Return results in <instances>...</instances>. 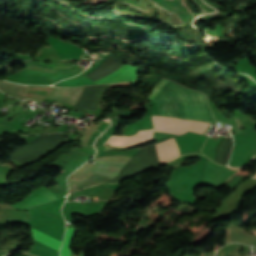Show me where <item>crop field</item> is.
Wrapping results in <instances>:
<instances>
[{"label": "crop field", "instance_id": "8a807250", "mask_svg": "<svg viewBox=\"0 0 256 256\" xmlns=\"http://www.w3.org/2000/svg\"><path fill=\"white\" fill-rule=\"evenodd\" d=\"M157 87L166 90L176 100L208 105L205 99V95L197 91L186 89L174 82L163 79L157 85ZM157 87L155 88V90L153 89L154 91L148 98L153 99L157 102L161 114L179 117V105L180 112L213 117L208 106L179 101H177V105L176 101L171 95ZM183 113H180V118L196 119L215 123L214 119L210 117Z\"/></svg>", "mask_w": 256, "mask_h": 256}, {"label": "crop field", "instance_id": "e52e79f7", "mask_svg": "<svg viewBox=\"0 0 256 256\" xmlns=\"http://www.w3.org/2000/svg\"><path fill=\"white\" fill-rule=\"evenodd\" d=\"M110 179H112V177L96 175V174H92L90 177H88L84 180H81L79 182L69 179L70 192L78 190V189L86 187V186H89V185L98 184L100 182H106Z\"/></svg>", "mask_w": 256, "mask_h": 256}, {"label": "crop field", "instance_id": "cbeb9de0", "mask_svg": "<svg viewBox=\"0 0 256 256\" xmlns=\"http://www.w3.org/2000/svg\"><path fill=\"white\" fill-rule=\"evenodd\" d=\"M253 177L256 178V175H254Z\"/></svg>", "mask_w": 256, "mask_h": 256}, {"label": "crop field", "instance_id": "3316defc", "mask_svg": "<svg viewBox=\"0 0 256 256\" xmlns=\"http://www.w3.org/2000/svg\"><path fill=\"white\" fill-rule=\"evenodd\" d=\"M156 145L162 164L174 159L168 140Z\"/></svg>", "mask_w": 256, "mask_h": 256}, {"label": "crop field", "instance_id": "f4fd0767", "mask_svg": "<svg viewBox=\"0 0 256 256\" xmlns=\"http://www.w3.org/2000/svg\"><path fill=\"white\" fill-rule=\"evenodd\" d=\"M46 43H49L54 47L61 60L80 59V55L83 53V49L52 37H50Z\"/></svg>", "mask_w": 256, "mask_h": 256}, {"label": "crop field", "instance_id": "22f410ed", "mask_svg": "<svg viewBox=\"0 0 256 256\" xmlns=\"http://www.w3.org/2000/svg\"><path fill=\"white\" fill-rule=\"evenodd\" d=\"M250 232H252V233L256 234V232H255V231H250Z\"/></svg>", "mask_w": 256, "mask_h": 256}, {"label": "crop field", "instance_id": "34b2d1b8", "mask_svg": "<svg viewBox=\"0 0 256 256\" xmlns=\"http://www.w3.org/2000/svg\"><path fill=\"white\" fill-rule=\"evenodd\" d=\"M142 71V69L133 67L131 65H124L120 69L116 70L115 72L106 75L94 82L97 84H104V83H117L123 81H133L135 80L137 75Z\"/></svg>", "mask_w": 256, "mask_h": 256}, {"label": "crop field", "instance_id": "5a996713", "mask_svg": "<svg viewBox=\"0 0 256 256\" xmlns=\"http://www.w3.org/2000/svg\"><path fill=\"white\" fill-rule=\"evenodd\" d=\"M32 228V227H31ZM32 237L59 250V247H60V241L32 228Z\"/></svg>", "mask_w": 256, "mask_h": 256}, {"label": "crop field", "instance_id": "412701ff", "mask_svg": "<svg viewBox=\"0 0 256 256\" xmlns=\"http://www.w3.org/2000/svg\"><path fill=\"white\" fill-rule=\"evenodd\" d=\"M56 198L57 197L50 190H48L46 187H43L33 191L25 199L16 204H12V206L18 209H27L31 206L53 201Z\"/></svg>", "mask_w": 256, "mask_h": 256}, {"label": "crop field", "instance_id": "ac0d7876", "mask_svg": "<svg viewBox=\"0 0 256 256\" xmlns=\"http://www.w3.org/2000/svg\"><path fill=\"white\" fill-rule=\"evenodd\" d=\"M152 118L199 124V125H207V126L212 125L211 123L197 122V121H191V120H181V119L168 118V117L157 116V115H152ZM155 119H152L154 124V131H164V132H170L176 135H181L189 130L206 134V131L209 129V127L207 126H199V125L177 123V122L155 120Z\"/></svg>", "mask_w": 256, "mask_h": 256}, {"label": "crop field", "instance_id": "28ad6ade", "mask_svg": "<svg viewBox=\"0 0 256 256\" xmlns=\"http://www.w3.org/2000/svg\"><path fill=\"white\" fill-rule=\"evenodd\" d=\"M75 229L74 228H67V233L62 245L61 249V256H70L71 250L69 249L71 239L74 235Z\"/></svg>", "mask_w": 256, "mask_h": 256}, {"label": "crop field", "instance_id": "d1516ede", "mask_svg": "<svg viewBox=\"0 0 256 256\" xmlns=\"http://www.w3.org/2000/svg\"><path fill=\"white\" fill-rule=\"evenodd\" d=\"M106 0H90V1H84L83 4H89V3H98Z\"/></svg>", "mask_w": 256, "mask_h": 256}, {"label": "crop field", "instance_id": "dd49c442", "mask_svg": "<svg viewBox=\"0 0 256 256\" xmlns=\"http://www.w3.org/2000/svg\"><path fill=\"white\" fill-rule=\"evenodd\" d=\"M84 87L78 88H59L55 87L50 98L57 99L75 105Z\"/></svg>", "mask_w": 256, "mask_h": 256}, {"label": "crop field", "instance_id": "d8731c3e", "mask_svg": "<svg viewBox=\"0 0 256 256\" xmlns=\"http://www.w3.org/2000/svg\"><path fill=\"white\" fill-rule=\"evenodd\" d=\"M26 85H16L9 82L0 81V89L17 97H23L26 92Z\"/></svg>", "mask_w": 256, "mask_h": 256}]
</instances>
